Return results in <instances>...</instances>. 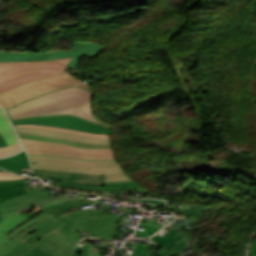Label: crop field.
Here are the masks:
<instances>
[{
  "label": "crop field",
  "mask_w": 256,
  "mask_h": 256,
  "mask_svg": "<svg viewBox=\"0 0 256 256\" xmlns=\"http://www.w3.org/2000/svg\"><path fill=\"white\" fill-rule=\"evenodd\" d=\"M22 150L20 143L0 148V157L15 154Z\"/></svg>",
  "instance_id": "dafd665d"
},
{
  "label": "crop field",
  "mask_w": 256,
  "mask_h": 256,
  "mask_svg": "<svg viewBox=\"0 0 256 256\" xmlns=\"http://www.w3.org/2000/svg\"><path fill=\"white\" fill-rule=\"evenodd\" d=\"M56 185L69 186V187H72V188H81V189L108 191V192L119 193V194H120L122 188H127V189H142V190H143V188H139L137 182H135V181L105 183V186H104V187H101V186L73 185V184H64V183H57ZM144 191L148 192L147 190H144ZM148 193H149V192H148Z\"/></svg>",
  "instance_id": "cbeb9de0"
},
{
  "label": "crop field",
  "mask_w": 256,
  "mask_h": 256,
  "mask_svg": "<svg viewBox=\"0 0 256 256\" xmlns=\"http://www.w3.org/2000/svg\"><path fill=\"white\" fill-rule=\"evenodd\" d=\"M252 245H255L256 246V237H255V239H254V241H253V244Z\"/></svg>",
  "instance_id": "120bbe31"
},
{
  "label": "crop field",
  "mask_w": 256,
  "mask_h": 256,
  "mask_svg": "<svg viewBox=\"0 0 256 256\" xmlns=\"http://www.w3.org/2000/svg\"><path fill=\"white\" fill-rule=\"evenodd\" d=\"M93 95L92 92L81 87H67L44 93L8 108L6 112L11 121L32 117L72 115L86 121L108 126L93 116L91 108Z\"/></svg>",
  "instance_id": "ac0d7876"
},
{
  "label": "crop field",
  "mask_w": 256,
  "mask_h": 256,
  "mask_svg": "<svg viewBox=\"0 0 256 256\" xmlns=\"http://www.w3.org/2000/svg\"><path fill=\"white\" fill-rule=\"evenodd\" d=\"M28 219H30V217L23 212L9 214L7 217L0 220V232L3 231L7 233Z\"/></svg>",
  "instance_id": "d9b57169"
},
{
  "label": "crop field",
  "mask_w": 256,
  "mask_h": 256,
  "mask_svg": "<svg viewBox=\"0 0 256 256\" xmlns=\"http://www.w3.org/2000/svg\"><path fill=\"white\" fill-rule=\"evenodd\" d=\"M71 256H80V254H75V253H74V254H73V255H71Z\"/></svg>",
  "instance_id": "d32e631a"
},
{
  "label": "crop field",
  "mask_w": 256,
  "mask_h": 256,
  "mask_svg": "<svg viewBox=\"0 0 256 256\" xmlns=\"http://www.w3.org/2000/svg\"><path fill=\"white\" fill-rule=\"evenodd\" d=\"M37 176L64 179V183L84 184V185H104L105 176L87 175V174H71L51 171H41L33 169Z\"/></svg>",
  "instance_id": "d1516ede"
},
{
  "label": "crop field",
  "mask_w": 256,
  "mask_h": 256,
  "mask_svg": "<svg viewBox=\"0 0 256 256\" xmlns=\"http://www.w3.org/2000/svg\"><path fill=\"white\" fill-rule=\"evenodd\" d=\"M15 128L17 132H23V133L33 134V135L62 138V139H68V140L87 143V144H110V138L109 139L94 138V137L76 135V134L60 132V131L33 128V127H15Z\"/></svg>",
  "instance_id": "28ad6ade"
},
{
  "label": "crop field",
  "mask_w": 256,
  "mask_h": 256,
  "mask_svg": "<svg viewBox=\"0 0 256 256\" xmlns=\"http://www.w3.org/2000/svg\"><path fill=\"white\" fill-rule=\"evenodd\" d=\"M30 160L36 164L32 168L71 172L106 175L105 182L133 180L122 171L114 159H81L68 156L50 154H31Z\"/></svg>",
  "instance_id": "34b2d1b8"
},
{
  "label": "crop field",
  "mask_w": 256,
  "mask_h": 256,
  "mask_svg": "<svg viewBox=\"0 0 256 256\" xmlns=\"http://www.w3.org/2000/svg\"><path fill=\"white\" fill-rule=\"evenodd\" d=\"M0 134L4 137L8 145L19 142L11 128V125L6 115L4 114L1 108H0Z\"/></svg>",
  "instance_id": "4a817a6b"
},
{
  "label": "crop field",
  "mask_w": 256,
  "mask_h": 256,
  "mask_svg": "<svg viewBox=\"0 0 256 256\" xmlns=\"http://www.w3.org/2000/svg\"><path fill=\"white\" fill-rule=\"evenodd\" d=\"M28 152L31 153H50L82 158H114L111 149L93 150L73 147L60 143L34 141L21 139Z\"/></svg>",
  "instance_id": "e52e79f7"
},
{
  "label": "crop field",
  "mask_w": 256,
  "mask_h": 256,
  "mask_svg": "<svg viewBox=\"0 0 256 256\" xmlns=\"http://www.w3.org/2000/svg\"><path fill=\"white\" fill-rule=\"evenodd\" d=\"M50 199V196L47 191L41 192L39 188L21 195L19 197L4 201L0 203V218L6 214L28 209L42 201Z\"/></svg>",
  "instance_id": "3316defc"
},
{
  "label": "crop field",
  "mask_w": 256,
  "mask_h": 256,
  "mask_svg": "<svg viewBox=\"0 0 256 256\" xmlns=\"http://www.w3.org/2000/svg\"><path fill=\"white\" fill-rule=\"evenodd\" d=\"M14 126H33V127H40V128H47V129H54V130L66 131V132H71V133H76V134H83V135L94 136V137H102V138H109V137H110V135L91 134V133H87V132H83V131L62 129V128H56V127H50V126H42V125H27V124H22V125H14Z\"/></svg>",
  "instance_id": "92a150f3"
},
{
  "label": "crop field",
  "mask_w": 256,
  "mask_h": 256,
  "mask_svg": "<svg viewBox=\"0 0 256 256\" xmlns=\"http://www.w3.org/2000/svg\"><path fill=\"white\" fill-rule=\"evenodd\" d=\"M201 256H223V255L201 253Z\"/></svg>",
  "instance_id": "750c4746"
},
{
  "label": "crop field",
  "mask_w": 256,
  "mask_h": 256,
  "mask_svg": "<svg viewBox=\"0 0 256 256\" xmlns=\"http://www.w3.org/2000/svg\"><path fill=\"white\" fill-rule=\"evenodd\" d=\"M43 124L69 129L83 130L91 133L110 134V128L83 121L77 117L62 116L48 118H33L14 121L13 124Z\"/></svg>",
  "instance_id": "5a996713"
},
{
  "label": "crop field",
  "mask_w": 256,
  "mask_h": 256,
  "mask_svg": "<svg viewBox=\"0 0 256 256\" xmlns=\"http://www.w3.org/2000/svg\"><path fill=\"white\" fill-rule=\"evenodd\" d=\"M60 222H62L64 225L59 227L58 229L52 231L64 238H68V239H71V240H74V241H77L82 237L81 235H79L77 233V230L73 225H71L68 220L66 219L65 215H62L58 218Z\"/></svg>",
  "instance_id": "733c2abd"
},
{
  "label": "crop field",
  "mask_w": 256,
  "mask_h": 256,
  "mask_svg": "<svg viewBox=\"0 0 256 256\" xmlns=\"http://www.w3.org/2000/svg\"><path fill=\"white\" fill-rule=\"evenodd\" d=\"M92 203L94 202L86 201L83 198L79 197L64 198V196H62L38 205V207H40L46 213L24 224L9 235L3 232L0 233V256L6 255L8 252L21 244L23 241H21L19 238L27 232L31 231L32 229L62 214H66L75 210H81L80 205H90Z\"/></svg>",
  "instance_id": "412701ff"
},
{
  "label": "crop field",
  "mask_w": 256,
  "mask_h": 256,
  "mask_svg": "<svg viewBox=\"0 0 256 256\" xmlns=\"http://www.w3.org/2000/svg\"><path fill=\"white\" fill-rule=\"evenodd\" d=\"M69 222L79 230H90L101 238L111 240L119 217H87V209L66 214Z\"/></svg>",
  "instance_id": "d8731c3e"
},
{
  "label": "crop field",
  "mask_w": 256,
  "mask_h": 256,
  "mask_svg": "<svg viewBox=\"0 0 256 256\" xmlns=\"http://www.w3.org/2000/svg\"><path fill=\"white\" fill-rule=\"evenodd\" d=\"M6 145H7V143L5 142V140L3 139V137L0 138V147L6 146Z\"/></svg>",
  "instance_id": "d3111659"
},
{
  "label": "crop field",
  "mask_w": 256,
  "mask_h": 256,
  "mask_svg": "<svg viewBox=\"0 0 256 256\" xmlns=\"http://www.w3.org/2000/svg\"><path fill=\"white\" fill-rule=\"evenodd\" d=\"M18 134L20 138L60 142V143H66V144H70L78 147L93 148V149L111 148V145H87V144H81V143L72 142L68 140H62V139L46 138V137L33 136V135L22 134V133H18Z\"/></svg>",
  "instance_id": "bc2a9ffb"
},
{
  "label": "crop field",
  "mask_w": 256,
  "mask_h": 256,
  "mask_svg": "<svg viewBox=\"0 0 256 256\" xmlns=\"http://www.w3.org/2000/svg\"><path fill=\"white\" fill-rule=\"evenodd\" d=\"M216 238H217V237H210V240H211L213 243H216V241H215Z\"/></svg>",
  "instance_id": "1d83c4d3"
},
{
  "label": "crop field",
  "mask_w": 256,
  "mask_h": 256,
  "mask_svg": "<svg viewBox=\"0 0 256 256\" xmlns=\"http://www.w3.org/2000/svg\"><path fill=\"white\" fill-rule=\"evenodd\" d=\"M141 246V245H140ZM144 245H142L141 247H136L135 249V253H134V256H139L140 252L142 251Z\"/></svg>",
  "instance_id": "eef30255"
},
{
  "label": "crop field",
  "mask_w": 256,
  "mask_h": 256,
  "mask_svg": "<svg viewBox=\"0 0 256 256\" xmlns=\"http://www.w3.org/2000/svg\"><path fill=\"white\" fill-rule=\"evenodd\" d=\"M198 2H199V0H193V1L189 2V3L187 4V6L185 7V9H184V14H185V11H186V10L192 8V7L195 6Z\"/></svg>",
  "instance_id": "730fd06b"
},
{
  "label": "crop field",
  "mask_w": 256,
  "mask_h": 256,
  "mask_svg": "<svg viewBox=\"0 0 256 256\" xmlns=\"http://www.w3.org/2000/svg\"><path fill=\"white\" fill-rule=\"evenodd\" d=\"M0 166L19 174L21 167H30L25 151L9 158L0 159Z\"/></svg>",
  "instance_id": "5142ce71"
},
{
  "label": "crop field",
  "mask_w": 256,
  "mask_h": 256,
  "mask_svg": "<svg viewBox=\"0 0 256 256\" xmlns=\"http://www.w3.org/2000/svg\"><path fill=\"white\" fill-rule=\"evenodd\" d=\"M167 51H168V56L171 58L172 62H177V61L174 60L173 57L171 56L170 50H169L168 46H167Z\"/></svg>",
  "instance_id": "bd1437ed"
},
{
  "label": "crop field",
  "mask_w": 256,
  "mask_h": 256,
  "mask_svg": "<svg viewBox=\"0 0 256 256\" xmlns=\"http://www.w3.org/2000/svg\"><path fill=\"white\" fill-rule=\"evenodd\" d=\"M21 256H54V255L36 245L30 251H28L27 253Z\"/></svg>",
  "instance_id": "00972430"
},
{
  "label": "crop field",
  "mask_w": 256,
  "mask_h": 256,
  "mask_svg": "<svg viewBox=\"0 0 256 256\" xmlns=\"http://www.w3.org/2000/svg\"><path fill=\"white\" fill-rule=\"evenodd\" d=\"M26 187L24 180L0 181V202L10 199L8 192Z\"/></svg>",
  "instance_id": "214f88e0"
},
{
  "label": "crop field",
  "mask_w": 256,
  "mask_h": 256,
  "mask_svg": "<svg viewBox=\"0 0 256 256\" xmlns=\"http://www.w3.org/2000/svg\"><path fill=\"white\" fill-rule=\"evenodd\" d=\"M151 238L156 240L160 244V246L164 248H169L172 250L168 254V256H171L174 253L182 251L184 249H187L189 246L185 237L173 229H171V231L167 233L165 236H163L162 238L157 235Z\"/></svg>",
  "instance_id": "22f410ed"
},
{
  "label": "crop field",
  "mask_w": 256,
  "mask_h": 256,
  "mask_svg": "<svg viewBox=\"0 0 256 256\" xmlns=\"http://www.w3.org/2000/svg\"><path fill=\"white\" fill-rule=\"evenodd\" d=\"M0 137H2V136L0 135ZM0 171H4V170L0 169Z\"/></svg>",
  "instance_id": "028f5c9d"
},
{
  "label": "crop field",
  "mask_w": 256,
  "mask_h": 256,
  "mask_svg": "<svg viewBox=\"0 0 256 256\" xmlns=\"http://www.w3.org/2000/svg\"><path fill=\"white\" fill-rule=\"evenodd\" d=\"M24 193H27L25 188L17 190V191L10 192V195L13 198V197L19 196V195L24 194Z\"/></svg>",
  "instance_id": "4177f3b9"
},
{
  "label": "crop field",
  "mask_w": 256,
  "mask_h": 256,
  "mask_svg": "<svg viewBox=\"0 0 256 256\" xmlns=\"http://www.w3.org/2000/svg\"><path fill=\"white\" fill-rule=\"evenodd\" d=\"M250 256H256V247L252 246Z\"/></svg>",
  "instance_id": "ae1a2a85"
},
{
  "label": "crop field",
  "mask_w": 256,
  "mask_h": 256,
  "mask_svg": "<svg viewBox=\"0 0 256 256\" xmlns=\"http://www.w3.org/2000/svg\"><path fill=\"white\" fill-rule=\"evenodd\" d=\"M59 221L56 219L27 233L24 235L22 240L25 242L15 248L6 256H19L29 249L34 247L36 244L47 251L53 253L56 256H69L72 253L73 246L77 243L71 240H67L59 237L51 231L61 226Z\"/></svg>",
  "instance_id": "f4fd0767"
},
{
  "label": "crop field",
  "mask_w": 256,
  "mask_h": 256,
  "mask_svg": "<svg viewBox=\"0 0 256 256\" xmlns=\"http://www.w3.org/2000/svg\"><path fill=\"white\" fill-rule=\"evenodd\" d=\"M73 85L82 86L89 90L87 84H83L82 82L76 80L64 70L61 74L56 76L25 85L11 92L0 95V104L4 107V109H6L15 104L38 96L44 92Z\"/></svg>",
  "instance_id": "dd49c442"
},
{
  "label": "crop field",
  "mask_w": 256,
  "mask_h": 256,
  "mask_svg": "<svg viewBox=\"0 0 256 256\" xmlns=\"http://www.w3.org/2000/svg\"><path fill=\"white\" fill-rule=\"evenodd\" d=\"M26 177L17 176L15 174H12L10 172H0V180H6V179H22Z\"/></svg>",
  "instance_id": "a9b5d70f"
},
{
  "label": "crop field",
  "mask_w": 256,
  "mask_h": 256,
  "mask_svg": "<svg viewBox=\"0 0 256 256\" xmlns=\"http://www.w3.org/2000/svg\"><path fill=\"white\" fill-rule=\"evenodd\" d=\"M104 48L99 44L74 42L72 51L58 50L38 54L0 52V94L60 73L66 64L75 69L84 55L94 58Z\"/></svg>",
  "instance_id": "8a807250"
},
{
  "label": "crop field",
  "mask_w": 256,
  "mask_h": 256,
  "mask_svg": "<svg viewBox=\"0 0 256 256\" xmlns=\"http://www.w3.org/2000/svg\"><path fill=\"white\" fill-rule=\"evenodd\" d=\"M253 179L256 181V176H255V177H253Z\"/></svg>",
  "instance_id": "5866460e"
}]
</instances>
